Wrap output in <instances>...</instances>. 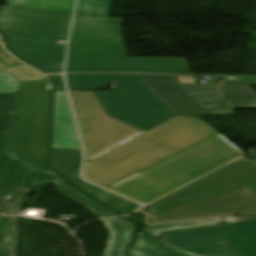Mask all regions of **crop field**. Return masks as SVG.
I'll return each instance as SVG.
<instances>
[{
  "instance_id": "22f410ed",
  "label": "crop field",
  "mask_w": 256,
  "mask_h": 256,
  "mask_svg": "<svg viewBox=\"0 0 256 256\" xmlns=\"http://www.w3.org/2000/svg\"><path fill=\"white\" fill-rule=\"evenodd\" d=\"M81 163V150H51L50 166L65 174L70 182L78 185L91 195L103 190L81 180Z\"/></svg>"
},
{
  "instance_id": "34b2d1b8",
  "label": "crop field",
  "mask_w": 256,
  "mask_h": 256,
  "mask_svg": "<svg viewBox=\"0 0 256 256\" xmlns=\"http://www.w3.org/2000/svg\"><path fill=\"white\" fill-rule=\"evenodd\" d=\"M122 19L76 14L66 72L190 73L185 59L125 57Z\"/></svg>"
},
{
  "instance_id": "5142ce71",
  "label": "crop field",
  "mask_w": 256,
  "mask_h": 256,
  "mask_svg": "<svg viewBox=\"0 0 256 256\" xmlns=\"http://www.w3.org/2000/svg\"><path fill=\"white\" fill-rule=\"evenodd\" d=\"M75 0H7L8 6L59 12H73Z\"/></svg>"
},
{
  "instance_id": "28ad6ade",
  "label": "crop field",
  "mask_w": 256,
  "mask_h": 256,
  "mask_svg": "<svg viewBox=\"0 0 256 256\" xmlns=\"http://www.w3.org/2000/svg\"><path fill=\"white\" fill-rule=\"evenodd\" d=\"M254 183L256 163L243 158L151 204L149 211L158 212Z\"/></svg>"
},
{
  "instance_id": "412701ff",
  "label": "crop field",
  "mask_w": 256,
  "mask_h": 256,
  "mask_svg": "<svg viewBox=\"0 0 256 256\" xmlns=\"http://www.w3.org/2000/svg\"><path fill=\"white\" fill-rule=\"evenodd\" d=\"M242 154L218 134L108 189L146 205Z\"/></svg>"
},
{
  "instance_id": "e52e79f7",
  "label": "crop field",
  "mask_w": 256,
  "mask_h": 256,
  "mask_svg": "<svg viewBox=\"0 0 256 256\" xmlns=\"http://www.w3.org/2000/svg\"><path fill=\"white\" fill-rule=\"evenodd\" d=\"M138 75L176 115L234 114L232 109L256 108V93L249 87L256 85V76L236 77L239 81H220L219 85L191 86L181 84L176 75Z\"/></svg>"
},
{
  "instance_id": "733c2abd",
  "label": "crop field",
  "mask_w": 256,
  "mask_h": 256,
  "mask_svg": "<svg viewBox=\"0 0 256 256\" xmlns=\"http://www.w3.org/2000/svg\"><path fill=\"white\" fill-rule=\"evenodd\" d=\"M110 1L78 0L76 13L108 17Z\"/></svg>"
},
{
  "instance_id": "730fd06b",
  "label": "crop field",
  "mask_w": 256,
  "mask_h": 256,
  "mask_svg": "<svg viewBox=\"0 0 256 256\" xmlns=\"http://www.w3.org/2000/svg\"><path fill=\"white\" fill-rule=\"evenodd\" d=\"M129 218H131V219H134V218H141V217H135V216H133V215H130V216H128Z\"/></svg>"
},
{
  "instance_id": "dafd665d",
  "label": "crop field",
  "mask_w": 256,
  "mask_h": 256,
  "mask_svg": "<svg viewBox=\"0 0 256 256\" xmlns=\"http://www.w3.org/2000/svg\"><path fill=\"white\" fill-rule=\"evenodd\" d=\"M223 218L227 222L256 220V213L255 214H245V215H241V216H229V217H223Z\"/></svg>"
},
{
  "instance_id": "a9b5d70f",
  "label": "crop field",
  "mask_w": 256,
  "mask_h": 256,
  "mask_svg": "<svg viewBox=\"0 0 256 256\" xmlns=\"http://www.w3.org/2000/svg\"><path fill=\"white\" fill-rule=\"evenodd\" d=\"M256 205V185L241 189Z\"/></svg>"
},
{
  "instance_id": "214f88e0",
  "label": "crop field",
  "mask_w": 256,
  "mask_h": 256,
  "mask_svg": "<svg viewBox=\"0 0 256 256\" xmlns=\"http://www.w3.org/2000/svg\"><path fill=\"white\" fill-rule=\"evenodd\" d=\"M17 96L15 93L0 94V108H15Z\"/></svg>"
},
{
  "instance_id": "d1516ede",
  "label": "crop field",
  "mask_w": 256,
  "mask_h": 256,
  "mask_svg": "<svg viewBox=\"0 0 256 256\" xmlns=\"http://www.w3.org/2000/svg\"><path fill=\"white\" fill-rule=\"evenodd\" d=\"M65 92H54L51 149H81Z\"/></svg>"
},
{
  "instance_id": "bc2a9ffb",
  "label": "crop field",
  "mask_w": 256,
  "mask_h": 256,
  "mask_svg": "<svg viewBox=\"0 0 256 256\" xmlns=\"http://www.w3.org/2000/svg\"><path fill=\"white\" fill-rule=\"evenodd\" d=\"M21 82L15 77L0 71V93L18 92Z\"/></svg>"
},
{
  "instance_id": "92a150f3",
  "label": "crop field",
  "mask_w": 256,
  "mask_h": 256,
  "mask_svg": "<svg viewBox=\"0 0 256 256\" xmlns=\"http://www.w3.org/2000/svg\"><path fill=\"white\" fill-rule=\"evenodd\" d=\"M0 62L5 64L6 66H18L21 65L16 59L10 56L7 52L2 49V45L0 44Z\"/></svg>"
},
{
  "instance_id": "d9b57169",
  "label": "crop field",
  "mask_w": 256,
  "mask_h": 256,
  "mask_svg": "<svg viewBox=\"0 0 256 256\" xmlns=\"http://www.w3.org/2000/svg\"><path fill=\"white\" fill-rule=\"evenodd\" d=\"M218 223H223V222L220 218H213V219L197 220V221L174 223V224L147 226V227L141 228V231L157 239H160L161 232L163 231L182 229V228H188V227L206 225V224H218Z\"/></svg>"
},
{
  "instance_id": "ac0d7876",
  "label": "crop field",
  "mask_w": 256,
  "mask_h": 256,
  "mask_svg": "<svg viewBox=\"0 0 256 256\" xmlns=\"http://www.w3.org/2000/svg\"><path fill=\"white\" fill-rule=\"evenodd\" d=\"M215 134L201 119L176 116L91 160L84 177L107 188Z\"/></svg>"
},
{
  "instance_id": "4a817a6b",
  "label": "crop field",
  "mask_w": 256,
  "mask_h": 256,
  "mask_svg": "<svg viewBox=\"0 0 256 256\" xmlns=\"http://www.w3.org/2000/svg\"><path fill=\"white\" fill-rule=\"evenodd\" d=\"M97 199L101 200L102 202L106 203L107 205L111 206L114 210H117L129 203L130 201L115 195L111 192H108L106 190H103L95 195H93Z\"/></svg>"
},
{
  "instance_id": "f4fd0767",
  "label": "crop field",
  "mask_w": 256,
  "mask_h": 256,
  "mask_svg": "<svg viewBox=\"0 0 256 256\" xmlns=\"http://www.w3.org/2000/svg\"><path fill=\"white\" fill-rule=\"evenodd\" d=\"M72 15L5 8L0 9V29L20 58L48 72L62 73Z\"/></svg>"
},
{
  "instance_id": "eef30255",
  "label": "crop field",
  "mask_w": 256,
  "mask_h": 256,
  "mask_svg": "<svg viewBox=\"0 0 256 256\" xmlns=\"http://www.w3.org/2000/svg\"><path fill=\"white\" fill-rule=\"evenodd\" d=\"M0 41L4 42V39H3V37L1 36V34H0Z\"/></svg>"
},
{
  "instance_id": "00972430",
  "label": "crop field",
  "mask_w": 256,
  "mask_h": 256,
  "mask_svg": "<svg viewBox=\"0 0 256 256\" xmlns=\"http://www.w3.org/2000/svg\"><path fill=\"white\" fill-rule=\"evenodd\" d=\"M54 78V91H65L62 75H51Z\"/></svg>"
},
{
  "instance_id": "5a996713",
  "label": "crop field",
  "mask_w": 256,
  "mask_h": 256,
  "mask_svg": "<svg viewBox=\"0 0 256 256\" xmlns=\"http://www.w3.org/2000/svg\"><path fill=\"white\" fill-rule=\"evenodd\" d=\"M50 80L23 83L18 109L20 116L14 136L19 155L36 167H46Z\"/></svg>"
},
{
  "instance_id": "3316defc",
  "label": "crop field",
  "mask_w": 256,
  "mask_h": 256,
  "mask_svg": "<svg viewBox=\"0 0 256 256\" xmlns=\"http://www.w3.org/2000/svg\"><path fill=\"white\" fill-rule=\"evenodd\" d=\"M89 161L144 133L108 116L93 92H70Z\"/></svg>"
},
{
  "instance_id": "4177f3b9",
  "label": "crop field",
  "mask_w": 256,
  "mask_h": 256,
  "mask_svg": "<svg viewBox=\"0 0 256 256\" xmlns=\"http://www.w3.org/2000/svg\"><path fill=\"white\" fill-rule=\"evenodd\" d=\"M139 207H141V206L133 202L117 211L120 212L121 214H126V213L133 212L134 210L138 209Z\"/></svg>"
},
{
  "instance_id": "cbeb9de0",
  "label": "crop field",
  "mask_w": 256,
  "mask_h": 256,
  "mask_svg": "<svg viewBox=\"0 0 256 256\" xmlns=\"http://www.w3.org/2000/svg\"><path fill=\"white\" fill-rule=\"evenodd\" d=\"M111 236L103 256H125L126 247L132 242L137 225L123 218L103 221Z\"/></svg>"
},
{
  "instance_id": "d8731c3e",
  "label": "crop field",
  "mask_w": 256,
  "mask_h": 256,
  "mask_svg": "<svg viewBox=\"0 0 256 256\" xmlns=\"http://www.w3.org/2000/svg\"><path fill=\"white\" fill-rule=\"evenodd\" d=\"M70 90L99 89L117 80L121 91L95 92L110 115L145 131L175 116L138 76L132 74H66Z\"/></svg>"
},
{
  "instance_id": "8a807250",
  "label": "crop field",
  "mask_w": 256,
  "mask_h": 256,
  "mask_svg": "<svg viewBox=\"0 0 256 256\" xmlns=\"http://www.w3.org/2000/svg\"><path fill=\"white\" fill-rule=\"evenodd\" d=\"M17 117V110H0V214L19 215V207L34 187L16 190L15 194L3 192L55 183L60 193L79 202L100 218L118 216L70 184H59L66 182L62 175L50 168L36 169L29 159L14 155L11 139ZM19 218L0 216V256H14L17 241L16 224Z\"/></svg>"
},
{
  "instance_id": "dd49c442",
  "label": "crop field",
  "mask_w": 256,
  "mask_h": 256,
  "mask_svg": "<svg viewBox=\"0 0 256 256\" xmlns=\"http://www.w3.org/2000/svg\"><path fill=\"white\" fill-rule=\"evenodd\" d=\"M131 256H256V222L164 233L155 241L140 233Z\"/></svg>"
}]
</instances>
